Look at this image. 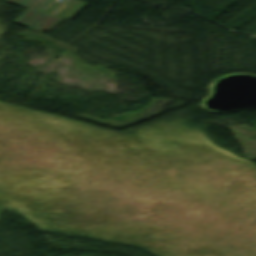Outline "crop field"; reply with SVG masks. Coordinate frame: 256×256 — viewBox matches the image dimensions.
Here are the masks:
<instances>
[{
    "label": "crop field",
    "instance_id": "1",
    "mask_svg": "<svg viewBox=\"0 0 256 256\" xmlns=\"http://www.w3.org/2000/svg\"><path fill=\"white\" fill-rule=\"evenodd\" d=\"M53 1L54 0H5V2L29 8L27 10H24L19 16H17L13 20V22L25 27H27L26 25L29 24L27 28L30 29H32L34 26H38L34 29V31H37L39 33L44 30L50 32L56 25H58L62 21V19L41 13Z\"/></svg>",
    "mask_w": 256,
    "mask_h": 256
}]
</instances>
